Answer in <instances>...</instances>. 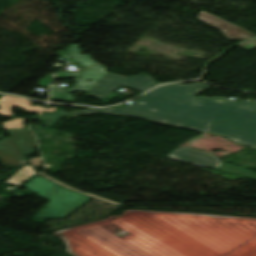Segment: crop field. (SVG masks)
<instances>
[{
    "label": "crop field",
    "instance_id": "obj_1",
    "mask_svg": "<svg viewBox=\"0 0 256 256\" xmlns=\"http://www.w3.org/2000/svg\"><path fill=\"white\" fill-rule=\"evenodd\" d=\"M202 83L158 87L135 103L121 109L91 108L74 112H103L142 117L152 122L215 133L251 147L256 137V102H228L193 97L209 88ZM201 103V105H198Z\"/></svg>",
    "mask_w": 256,
    "mask_h": 256
},
{
    "label": "crop field",
    "instance_id": "obj_2",
    "mask_svg": "<svg viewBox=\"0 0 256 256\" xmlns=\"http://www.w3.org/2000/svg\"><path fill=\"white\" fill-rule=\"evenodd\" d=\"M24 187L32 192H39L38 196L40 197L51 199L45 205L49 209L41 210L35 218H64L91 199L64 189L41 176L35 177ZM61 203L64 205H60Z\"/></svg>",
    "mask_w": 256,
    "mask_h": 256
},
{
    "label": "crop field",
    "instance_id": "obj_3",
    "mask_svg": "<svg viewBox=\"0 0 256 256\" xmlns=\"http://www.w3.org/2000/svg\"><path fill=\"white\" fill-rule=\"evenodd\" d=\"M155 84L156 81L148 75L126 78L107 73L89 92H87V95H96L101 99H105L121 86L144 92Z\"/></svg>",
    "mask_w": 256,
    "mask_h": 256
},
{
    "label": "crop field",
    "instance_id": "obj_4",
    "mask_svg": "<svg viewBox=\"0 0 256 256\" xmlns=\"http://www.w3.org/2000/svg\"><path fill=\"white\" fill-rule=\"evenodd\" d=\"M67 54L74 58L77 62L83 65L86 70L82 74L80 78L73 79L76 81L75 86L73 89L67 91V96L64 101L73 102L74 99L69 92L75 90H82V91H89L107 72L105 71L107 68H104L94 61L91 60V55H82L80 54V50L77 45L72 44L67 49H65ZM95 66L94 68L90 66ZM86 79H91V82L87 81ZM90 84H87V83Z\"/></svg>",
    "mask_w": 256,
    "mask_h": 256
},
{
    "label": "crop field",
    "instance_id": "obj_5",
    "mask_svg": "<svg viewBox=\"0 0 256 256\" xmlns=\"http://www.w3.org/2000/svg\"><path fill=\"white\" fill-rule=\"evenodd\" d=\"M199 18L207 24L221 29L222 32L225 33L226 37L230 40H245L247 38L256 36L251 32H248L234 24H231L206 12H201L199 14Z\"/></svg>",
    "mask_w": 256,
    "mask_h": 256
},
{
    "label": "crop field",
    "instance_id": "obj_6",
    "mask_svg": "<svg viewBox=\"0 0 256 256\" xmlns=\"http://www.w3.org/2000/svg\"><path fill=\"white\" fill-rule=\"evenodd\" d=\"M169 156L210 168H214L221 163V160L213 154L197 151L187 147L176 149Z\"/></svg>",
    "mask_w": 256,
    "mask_h": 256
},
{
    "label": "crop field",
    "instance_id": "obj_7",
    "mask_svg": "<svg viewBox=\"0 0 256 256\" xmlns=\"http://www.w3.org/2000/svg\"><path fill=\"white\" fill-rule=\"evenodd\" d=\"M0 159L3 164L20 167L24 165L18 160L26 161L20 150L15 145L12 137L0 141Z\"/></svg>",
    "mask_w": 256,
    "mask_h": 256
},
{
    "label": "crop field",
    "instance_id": "obj_8",
    "mask_svg": "<svg viewBox=\"0 0 256 256\" xmlns=\"http://www.w3.org/2000/svg\"><path fill=\"white\" fill-rule=\"evenodd\" d=\"M19 147L22 151L27 154H31L34 151V147L36 146V140L32 133L26 130H9Z\"/></svg>",
    "mask_w": 256,
    "mask_h": 256
},
{
    "label": "crop field",
    "instance_id": "obj_9",
    "mask_svg": "<svg viewBox=\"0 0 256 256\" xmlns=\"http://www.w3.org/2000/svg\"><path fill=\"white\" fill-rule=\"evenodd\" d=\"M0 101L3 102V103H0V108L2 109V110H0V114L11 115L10 107L12 105H18L30 112L40 109V107H38V106H34V107L30 106L29 101H27L25 99L3 96L0 99ZM12 103H14V104H12Z\"/></svg>",
    "mask_w": 256,
    "mask_h": 256
},
{
    "label": "crop field",
    "instance_id": "obj_10",
    "mask_svg": "<svg viewBox=\"0 0 256 256\" xmlns=\"http://www.w3.org/2000/svg\"><path fill=\"white\" fill-rule=\"evenodd\" d=\"M252 148L256 149V139H255V142H254ZM215 169L225 171V172H229V173H233V174H237V175H241V176H245V177H249V178H252V179H256V173L250 172L246 169H242V168L237 167V166L225 164V163H221Z\"/></svg>",
    "mask_w": 256,
    "mask_h": 256
},
{
    "label": "crop field",
    "instance_id": "obj_11",
    "mask_svg": "<svg viewBox=\"0 0 256 256\" xmlns=\"http://www.w3.org/2000/svg\"><path fill=\"white\" fill-rule=\"evenodd\" d=\"M34 173L36 172L31 167V165L24 166L19 171H17L10 179H8L6 183L18 186L30 176H32Z\"/></svg>",
    "mask_w": 256,
    "mask_h": 256
},
{
    "label": "crop field",
    "instance_id": "obj_12",
    "mask_svg": "<svg viewBox=\"0 0 256 256\" xmlns=\"http://www.w3.org/2000/svg\"><path fill=\"white\" fill-rule=\"evenodd\" d=\"M65 115H69V114L66 113V112H64V111H62V110H58V111H56V112H54V113H52V114H49V115H46V116H42V117H37V118L45 120V119H48V118H50V117H53V119H54L53 122H48V121H47V123H44V124H43V125H45V126H51V125H54V124L57 123L59 117L65 116ZM45 121H46V120H45Z\"/></svg>",
    "mask_w": 256,
    "mask_h": 256
},
{
    "label": "crop field",
    "instance_id": "obj_13",
    "mask_svg": "<svg viewBox=\"0 0 256 256\" xmlns=\"http://www.w3.org/2000/svg\"><path fill=\"white\" fill-rule=\"evenodd\" d=\"M26 118L14 119L3 123L4 128H23V120Z\"/></svg>",
    "mask_w": 256,
    "mask_h": 256
},
{
    "label": "crop field",
    "instance_id": "obj_14",
    "mask_svg": "<svg viewBox=\"0 0 256 256\" xmlns=\"http://www.w3.org/2000/svg\"><path fill=\"white\" fill-rule=\"evenodd\" d=\"M65 94V90L52 86L50 99L62 100Z\"/></svg>",
    "mask_w": 256,
    "mask_h": 256
},
{
    "label": "crop field",
    "instance_id": "obj_15",
    "mask_svg": "<svg viewBox=\"0 0 256 256\" xmlns=\"http://www.w3.org/2000/svg\"><path fill=\"white\" fill-rule=\"evenodd\" d=\"M41 175H42V176H44V177H46V178H48V179H50V180H52V181H54V182H56V183H58V184H60V185H62V186H64V187H67V188H69V189H72V190L78 191V192H80V193H83V194H86V195H89V196H92V197H95V198L101 199V200H103V201H106V202H109V203H112V204H115V205L120 204V203H115V202H113V201H111V200H107V199H104V198H101V197H97V196H94V195H90V194H87V193L81 192V191H79V190H77V189H74V188L69 187V186H67V185H65V184H62V183H60V182H58V181H56V180H54V179L50 178L49 176H46L44 173H43V174H41Z\"/></svg>",
    "mask_w": 256,
    "mask_h": 256
},
{
    "label": "crop field",
    "instance_id": "obj_16",
    "mask_svg": "<svg viewBox=\"0 0 256 256\" xmlns=\"http://www.w3.org/2000/svg\"><path fill=\"white\" fill-rule=\"evenodd\" d=\"M81 72H67V71H63V72H56V77L55 79H59V78H68V77H72V76H78L80 75Z\"/></svg>",
    "mask_w": 256,
    "mask_h": 256
},
{
    "label": "crop field",
    "instance_id": "obj_17",
    "mask_svg": "<svg viewBox=\"0 0 256 256\" xmlns=\"http://www.w3.org/2000/svg\"><path fill=\"white\" fill-rule=\"evenodd\" d=\"M52 77H53V74L48 75L46 79H42L38 85L49 86L51 84L49 82L52 81Z\"/></svg>",
    "mask_w": 256,
    "mask_h": 256
},
{
    "label": "crop field",
    "instance_id": "obj_18",
    "mask_svg": "<svg viewBox=\"0 0 256 256\" xmlns=\"http://www.w3.org/2000/svg\"><path fill=\"white\" fill-rule=\"evenodd\" d=\"M240 46L244 49H247V50H250V49L256 47V45L252 41L246 42V43H244Z\"/></svg>",
    "mask_w": 256,
    "mask_h": 256
},
{
    "label": "crop field",
    "instance_id": "obj_19",
    "mask_svg": "<svg viewBox=\"0 0 256 256\" xmlns=\"http://www.w3.org/2000/svg\"><path fill=\"white\" fill-rule=\"evenodd\" d=\"M29 161H30V163L35 167V166L40 165V163H41V158H38V159L32 158V159L29 160Z\"/></svg>",
    "mask_w": 256,
    "mask_h": 256
},
{
    "label": "crop field",
    "instance_id": "obj_20",
    "mask_svg": "<svg viewBox=\"0 0 256 256\" xmlns=\"http://www.w3.org/2000/svg\"><path fill=\"white\" fill-rule=\"evenodd\" d=\"M54 108H55V107L49 108V109L45 108V109H43V110H41V111H38V113H39V115H41L40 112L45 111V110H48V111L52 112V111H54Z\"/></svg>",
    "mask_w": 256,
    "mask_h": 256
},
{
    "label": "crop field",
    "instance_id": "obj_21",
    "mask_svg": "<svg viewBox=\"0 0 256 256\" xmlns=\"http://www.w3.org/2000/svg\"><path fill=\"white\" fill-rule=\"evenodd\" d=\"M256 44V40H252Z\"/></svg>",
    "mask_w": 256,
    "mask_h": 256
}]
</instances>
